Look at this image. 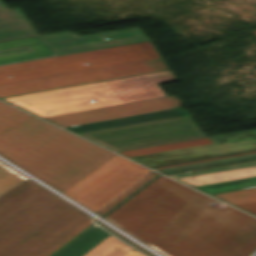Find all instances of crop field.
<instances>
[{
    "label": "crop field",
    "mask_w": 256,
    "mask_h": 256,
    "mask_svg": "<svg viewBox=\"0 0 256 256\" xmlns=\"http://www.w3.org/2000/svg\"><path fill=\"white\" fill-rule=\"evenodd\" d=\"M162 57L152 41L0 66V85ZM87 62L89 65H84ZM7 75H11L8 78Z\"/></svg>",
    "instance_id": "5"
},
{
    "label": "crop field",
    "mask_w": 256,
    "mask_h": 256,
    "mask_svg": "<svg viewBox=\"0 0 256 256\" xmlns=\"http://www.w3.org/2000/svg\"><path fill=\"white\" fill-rule=\"evenodd\" d=\"M149 171L116 155L64 193L96 212Z\"/></svg>",
    "instance_id": "8"
},
{
    "label": "crop field",
    "mask_w": 256,
    "mask_h": 256,
    "mask_svg": "<svg viewBox=\"0 0 256 256\" xmlns=\"http://www.w3.org/2000/svg\"><path fill=\"white\" fill-rule=\"evenodd\" d=\"M0 154L62 192L116 155L32 116L0 134Z\"/></svg>",
    "instance_id": "3"
},
{
    "label": "crop field",
    "mask_w": 256,
    "mask_h": 256,
    "mask_svg": "<svg viewBox=\"0 0 256 256\" xmlns=\"http://www.w3.org/2000/svg\"><path fill=\"white\" fill-rule=\"evenodd\" d=\"M256 256V255H255Z\"/></svg>",
    "instance_id": "32"
},
{
    "label": "crop field",
    "mask_w": 256,
    "mask_h": 256,
    "mask_svg": "<svg viewBox=\"0 0 256 256\" xmlns=\"http://www.w3.org/2000/svg\"><path fill=\"white\" fill-rule=\"evenodd\" d=\"M125 256H144V255H142L141 253H139L138 251H136V250H132V251H130L128 254H126Z\"/></svg>",
    "instance_id": "31"
},
{
    "label": "crop field",
    "mask_w": 256,
    "mask_h": 256,
    "mask_svg": "<svg viewBox=\"0 0 256 256\" xmlns=\"http://www.w3.org/2000/svg\"><path fill=\"white\" fill-rule=\"evenodd\" d=\"M237 206L250 211L254 214H256V201L254 202H248V203H242V204H236Z\"/></svg>",
    "instance_id": "28"
},
{
    "label": "crop field",
    "mask_w": 256,
    "mask_h": 256,
    "mask_svg": "<svg viewBox=\"0 0 256 256\" xmlns=\"http://www.w3.org/2000/svg\"><path fill=\"white\" fill-rule=\"evenodd\" d=\"M213 201L160 175L104 218L166 256H251L256 219Z\"/></svg>",
    "instance_id": "1"
},
{
    "label": "crop field",
    "mask_w": 256,
    "mask_h": 256,
    "mask_svg": "<svg viewBox=\"0 0 256 256\" xmlns=\"http://www.w3.org/2000/svg\"><path fill=\"white\" fill-rule=\"evenodd\" d=\"M131 247L109 235L84 256H124Z\"/></svg>",
    "instance_id": "17"
},
{
    "label": "crop field",
    "mask_w": 256,
    "mask_h": 256,
    "mask_svg": "<svg viewBox=\"0 0 256 256\" xmlns=\"http://www.w3.org/2000/svg\"><path fill=\"white\" fill-rule=\"evenodd\" d=\"M214 196L219 197L232 204L254 201L256 200V188L214 194Z\"/></svg>",
    "instance_id": "21"
},
{
    "label": "crop field",
    "mask_w": 256,
    "mask_h": 256,
    "mask_svg": "<svg viewBox=\"0 0 256 256\" xmlns=\"http://www.w3.org/2000/svg\"><path fill=\"white\" fill-rule=\"evenodd\" d=\"M25 179L24 176L0 162V195Z\"/></svg>",
    "instance_id": "20"
},
{
    "label": "crop field",
    "mask_w": 256,
    "mask_h": 256,
    "mask_svg": "<svg viewBox=\"0 0 256 256\" xmlns=\"http://www.w3.org/2000/svg\"><path fill=\"white\" fill-rule=\"evenodd\" d=\"M180 105L181 102L175 96H171L166 98L154 99L149 101L137 102L132 104L97 109L92 111L80 112L46 119L54 123H57L61 126H66L152 111L177 108L180 107Z\"/></svg>",
    "instance_id": "10"
},
{
    "label": "crop field",
    "mask_w": 256,
    "mask_h": 256,
    "mask_svg": "<svg viewBox=\"0 0 256 256\" xmlns=\"http://www.w3.org/2000/svg\"><path fill=\"white\" fill-rule=\"evenodd\" d=\"M250 165H256V161L248 162V163H242V164H236V165H231V166H225V167H219V168H213V169H207V170H201V171H196V172L172 175V176L175 177V178H179V177H185V176H191V175H197V174H203V173L227 170V169L244 167V166H250Z\"/></svg>",
    "instance_id": "25"
},
{
    "label": "crop field",
    "mask_w": 256,
    "mask_h": 256,
    "mask_svg": "<svg viewBox=\"0 0 256 256\" xmlns=\"http://www.w3.org/2000/svg\"><path fill=\"white\" fill-rule=\"evenodd\" d=\"M251 150H256V143L243 144V145L227 147L222 149L176 155V156H170V157H164V158H158V159H152V160H146V161H140V162L150 167H154V166H160V165L198 160L196 158H200V157H206V156L211 157L213 155L217 156L218 154L226 155V154H231L232 152L237 153V152H245V151H251ZM206 158H209V157H206ZM200 159H204V158H200Z\"/></svg>",
    "instance_id": "14"
},
{
    "label": "crop field",
    "mask_w": 256,
    "mask_h": 256,
    "mask_svg": "<svg viewBox=\"0 0 256 256\" xmlns=\"http://www.w3.org/2000/svg\"><path fill=\"white\" fill-rule=\"evenodd\" d=\"M167 68H169V66L166 64L163 58L142 61L137 63L0 86V97Z\"/></svg>",
    "instance_id": "9"
},
{
    "label": "crop field",
    "mask_w": 256,
    "mask_h": 256,
    "mask_svg": "<svg viewBox=\"0 0 256 256\" xmlns=\"http://www.w3.org/2000/svg\"><path fill=\"white\" fill-rule=\"evenodd\" d=\"M253 186H256V180L255 181H249V182L232 184V185H226V186L202 189V191H204V192H206L208 194H212V193L230 191V190L247 188V187H253Z\"/></svg>",
    "instance_id": "24"
},
{
    "label": "crop field",
    "mask_w": 256,
    "mask_h": 256,
    "mask_svg": "<svg viewBox=\"0 0 256 256\" xmlns=\"http://www.w3.org/2000/svg\"><path fill=\"white\" fill-rule=\"evenodd\" d=\"M94 221L27 179L0 196V256H49Z\"/></svg>",
    "instance_id": "2"
},
{
    "label": "crop field",
    "mask_w": 256,
    "mask_h": 256,
    "mask_svg": "<svg viewBox=\"0 0 256 256\" xmlns=\"http://www.w3.org/2000/svg\"><path fill=\"white\" fill-rule=\"evenodd\" d=\"M187 114H189L187 111H185L181 108H177V109H171V110H165V111H159V112H153V113L111 119V120H105V121H98V122H92V123L66 126L65 128H67L75 133H79V132H85V131H91V130H97V129H103V128H109V127H115V126H121V125H127V124H133V123H139V122H145V121H151V120H157V119H163V118H169V117H175V116H181V115H187Z\"/></svg>",
    "instance_id": "11"
},
{
    "label": "crop field",
    "mask_w": 256,
    "mask_h": 256,
    "mask_svg": "<svg viewBox=\"0 0 256 256\" xmlns=\"http://www.w3.org/2000/svg\"><path fill=\"white\" fill-rule=\"evenodd\" d=\"M21 11L20 8L9 10L7 5L0 1V14Z\"/></svg>",
    "instance_id": "30"
},
{
    "label": "crop field",
    "mask_w": 256,
    "mask_h": 256,
    "mask_svg": "<svg viewBox=\"0 0 256 256\" xmlns=\"http://www.w3.org/2000/svg\"><path fill=\"white\" fill-rule=\"evenodd\" d=\"M141 30L136 27L82 37L65 31L2 42L0 65L148 41Z\"/></svg>",
    "instance_id": "6"
},
{
    "label": "crop field",
    "mask_w": 256,
    "mask_h": 256,
    "mask_svg": "<svg viewBox=\"0 0 256 256\" xmlns=\"http://www.w3.org/2000/svg\"><path fill=\"white\" fill-rule=\"evenodd\" d=\"M256 176V166L179 178L193 186Z\"/></svg>",
    "instance_id": "16"
},
{
    "label": "crop field",
    "mask_w": 256,
    "mask_h": 256,
    "mask_svg": "<svg viewBox=\"0 0 256 256\" xmlns=\"http://www.w3.org/2000/svg\"><path fill=\"white\" fill-rule=\"evenodd\" d=\"M253 155H256V153L242 155V156H236V157H230V158H225V159H219V160H214V161H208V162H202V163H196V164H190V165H184V166L160 169L159 171L171 170V169H177V168H184V167H190V166H196V165H201V164L213 163V162L224 161V160L235 159V158H241V157H247V156H253Z\"/></svg>",
    "instance_id": "26"
},
{
    "label": "crop field",
    "mask_w": 256,
    "mask_h": 256,
    "mask_svg": "<svg viewBox=\"0 0 256 256\" xmlns=\"http://www.w3.org/2000/svg\"><path fill=\"white\" fill-rule=\"evenodd\" d=\"M172 71L73 86L3 100L42 118L166 97L158 83L174 81ZM94 99L95 102L87 101Z\"/></svg>",
    "instance_id": "4"
},
{
    "label": "crop field",
    "mask_w": 256,
    "mask_h": 256,
    "mask_svg": "<svg viewBox=\"0 0 256 256\" xmlns=\"http://www.w3.org/2000/svg\"><path fill=\"white\" fill-rule=\"evenodd\" d=\"M155 175L157 174L151 171L138 182H136L134 185H132L130 188H128L126 191H124L122 194H120L118 197H116L114 200H112L110 203H108L106 206H104L102 209H100L97 213L103 216L106 212H108L110 209H112L114 206H116L118 203H120L134 191L143 186Z\"/></svg>",
    "instance_id": "22"
},
{
    "label": "crop field",
    "mask_w": 256,
    "mask_h": 256,
    "mask_svg": "<svg viewBox=\"0 0 256 256\" xmlns=\"http://www.w3.org/2000/svg\"><path fill=\"white\" fill-rule=\"evenodd\" d=\"M108 235L94 225L53 256H82Z\"/></svg>",
    "instance_id": "15"
},
{
    "label": "crop field",
    "mask_w": 256,
    "mask_h": 256,
    "mask_svg": "<svg viewBox=\"0 0 256 256\" xmlns=\"http://www.w3.org/2000/svg\"><path fill=\"white\" fill-rule=\"evenodd\" d=\"M253 152H256V151L245 152V153H239V154H233V155H227V156H221V157L210 158V159H205V160H199V161H194V162H188V163H183V164H189V163H195V162H201V161H207V160L225 158V157L236 156V155H242V154L253 153ZM183 164H177V165H183ZM177 165H172V166H177ZM166 167H171V166H166ZM161 168H165V167H161ZM155 169H159V168H155Z\"/></svg>",
    "instance_id": "29"
},
{
    "label": "crop field",
    "mask_w": 256,
    "mask_h": 256,
    "mask_svg": "<svg viewBox=\"0 0 256 256\" xmlns=\"http://www.w3.org/2000/svg\"><path fill=\"white\" fill-rule=\"evenodd\" d=\"M255 179H256V177H251V178H245V179H239V180H233V181H227V182H221V183H215V184L197 186V188L202 189V188H208V187L226 185V184L237 183V182H243V181H249V180H255Z\"/></svg>",
    "instance_id": "27"
},
{
    "label": "crop field",
    "mask_w": 256,
    "mask_h": 256,
    "mask_svg": "<svg viewBox=\"0 0 256 256\" xmlns=\"http://www.w3.org/2000/svg\"><path fill=\"white\" fill-rule=\"evenodd\" d=\"M115 151L203 137L190 115L80 133Z\"/></svg>",
    "instance_id": "7"
},
{
    "label": "crop field",
    "mask_w": 256,
    "mask_h": 256,
    "mask_svg": "<svg viewBox=\"0 0 256 256\" xmlns=\"http://www.w3.org/2000/svg\"><path fill=\"white\" fill-rule=\"evenodd\" d=\"M210 143L212 142L208 138H204V139H198V140H192V141H186V142H180V143H174V144H167V145L131 150V151L120 152V153L127 157H132V156H138V155H144V154H150V153H156V152H162V151H168V150H174V149H180V148H186V147H192V146H198V145H204V144H210Z\"/></svg>",
    "instance_id": "18"
},
{
    "label": "crop field",
    "mask_w": 256,
    "mask_h": 256,
    "mask_svg": "<svg viewBox=\"0 0 256 256\" xmlns=\"http://www.w3.org/2000/svg\"><path fill=\"white\" fill-rule=\"evenodd\" d=\"M29 115L0 102V133Z\"/></svg>",
    "instance_id": "19"
},
{
    "label": "crop field",
    "mask_w": 256,
    "mask_h": 256,
    "mask_svg": "<svg viewBox=\"0 0 256 256\" xmlns=\"http://www.w3.org/2000/svg\"><path fill=\"white\" fill-rule=\"evenodd\" d=\"M254 160H256V156L247 157V158H241V159H235V160H230V161H224V162H218V163H213V164H207V165H202V166L184 168V169H177V170H171V171H164V173H166V174H168V175H172V174H178V173L196 171V170H201V169H207V168H213V167L231 165V164L242 163V162H248V161H254Z\"/></svg>",
    "instance_id": "23"
},
{
    "label": "crop field",
    "mask_w": 256,
    "mask_h": 256,
    "mask_svg": "<svg viewBox=\"0 0 256 256\" xmlns=\"http://www.w3.org/2000/svg\"><path fill=\"white\" fill-rule=\"evenodd\" d=\"M37 35L23 12L0 15V41Z\"/></svg>",
    "instance_id": "13"
},
{
    "label": "crop field",
    "mask_w": 256,
    "mask_h": 256,
    "mask_svg": "<svg viewBox=\"0 0 256 256\" xmlns=\"http://www.w3.org/2000/svg\"><path fill=\"white\" fill-rule=\"evenodd\" d=\"M209 139L213 142V144L156 153V154H150V155H144V156H138V157H132V159L136 161H140V160H146V159H152V158H158V157H164V156H170V155H176V154L222 148V147L238 145L243 143H252V142H256V130L243 132V133L211 137Z\"/></svg>",
    "instance_id": "12"
}]
</instances>
